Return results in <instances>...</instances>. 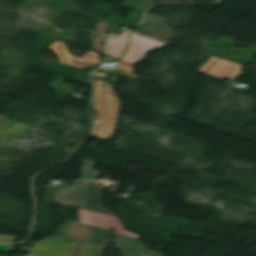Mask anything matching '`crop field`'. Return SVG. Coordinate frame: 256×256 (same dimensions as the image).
Segmentation results:
<instances>
[{
    "mask_svg": "<svg viewBox=\"0 0 256 256\" xmlns=\"http://www.w3.org/2000/svg\"><path fill=\"white\" fill-rule=\"evenodd\" d=\"M14 250H25V251H29L28 249H25V248H14Z\"/></svg>",
    "mask_w": 256,
    "mask_h": 256,
    "instance_id": "14",
    "label": "crop field"
},
{
    "mask_svg": "<svg viewBox=\"0 0 256 256\" xmlns=\"http://www.w3.org/2000/svg\"><path fill=\"white\" fill-rule=\"evenodd\" d=\"M166 45L160 44L131 33L130 44L126 54L121 58L122 61L137 64L144 60L147 50H154L155 48H162Z\"/></svg>",
    "mask_w": 256,
    "mask_h": 256,
    "instance_id": "4",
    "label": "crop field"
},
{
    "mask_svg": "<svg viewBox=\"0 0 256 256\" xmlns=\"http://www.w3.org/2000/svg\"><path fill=\"white\" fill-rule=\"evenodd\" d=\"M219 58L214 57L201 71H207ZM241 65L220 59L207 73L234 80L242 72L239 70Z\"/></svg>",
    "mask_w": 256,
    "mask_h": 256,
    "instance_id": "5",
    "label": "crop field"
},
{
    "mask_svg": "<svg viewBox=\"0 0 256 256\" xmlns=\"http://www.w3.org/2000/svg\"><path fill=\"white\" fill-rule=\"evenodd\" d=\"M83 162H84V165H83V167L81 169L83 179H91L90 170H89V167H88L87 160L83 159ZM85 165H87L86 168H85Z\"/></svg>",
    "mask_w": 256,
    "mask_h": 256,
    "instance_id": "11",
    "label": "crop field"
},
{
    "mask_svg": "<svg viewBox=\"0 0 256 256\" xmlns=\"http://www.w3.org/2000/svg\"><path fill=\"white\" fill-rule=\"evenodd\" d=\"M78 219L80 222H84V223H87L96 227H100L106 230L112 227H115L116 233L123 234L135 239L139 237L135 234H132L124 230L122 223L119 221L117 217H114V216L78 208Z\"/></svg>",
    "mask_w": 256,
    "mask_h": 256,
    "instance_id": "3",
    "label": "crop field"
},
{
    "mask_svg": "<svg viewBox=\"0 0 256 256\" xmlns=\"http://www.w3.org/2000/svg\"><path fill=\"white\" fill-rule=\"evenodd\" d=\"M54 197H55L54 202L61 203V204H67V205L74 206V207H76V204L78 203V201L80 199L79 196H75V195H71V194H67V193H63V192H59V191L54 192ZM59 198H62L64 200H58Z\"/></svg>",
    "mask_w": 256,
    "mask_h": 256,
    "instance_id": "9",
    "label": "crop field"
},
{
    "mask_svg": "<svg viewBox=\"0 0 256 256\" xmlns=\"http://www.w3.org/2000/svg\"><path fill=\"white\" fill-rule=\"evenodd\" d=\"M78 246L79 244L74 242L44 238L34 243L30 256H73Z\"/></svg>",
    "mask_w": 256,
    "mask_h": 256,
    "instance_id": "2",
    "label": "crop field"
},
{
    "mask_svg": "<svg viewBox=\"0 0 256 256\" xmlns=\"http://www.w3.org/2000/svg\"><path fill=\"white\" fill-rule=\"evenodd\" d=\"M128 37H129V31L123 33L121 36L117 38L112 36V38L110 39L106 47L108 55L120 59V57L125 52L127 42H128Z\"/></svg>",
    "mask_w": 256,
    "mask_h": 256,
    "instance_id": "7",
    "label": "crop field"
},
{
    "mask_svg": "<svg viewBox=\"0 0 256 256\" xmlns=\"http://www.w3.org/2000/svg\"><path fill=\"white\" fill-rule=\"evenodd\" d=\"M103 200L101 192L97 189L95 182L89 186L86 194L82 197L77 207L113 215L111 210L102 207Z\"/></svg>",
    "mask_w": 256,
    "mask_h": 256,
    "instance_id": "6",
    "label": "crop field"
},
{
    "mask_svg": "<svg viewBox=\"0 0 256 256\" xmlns=\"http://www.w3.org/2000/svg\"><path fill=\"white\" fill-rule=\"evenodd\" d=\"M106 248L81 244L75 256H103Z\"/></svg>",
    "mask_w": 256,
    "mask_h": 256,
    "instance_id": "8",
    "label": "crop field"
},
{
    "mask_svg": "<svg viewBox=\"0 0 256 256\" xmlns=\"http://www.w3.org/2000/svg\"><path fill=\"white\" fill-rule=\"evenodd\" d=\"M95 163L93 161H90L89 160V165L91 167V171H92V177L94 180H96L99 176H100V173L99 172H94L92 166L94 165Z\"/></svg>",
    "mask_w": 256,
    "mask_h": 256,
    "instance_id": "13",
    "label": "crop field"
},
{
    "mask_svg": "<svg viewBox=\"0 0 256 256\" xmlns=\"http://www.w3.org/2000/svg\"><path fill=\"white\" fill-rule=\"evenodd\" d=\"M89 183H90V181H79L78 184H75V185L70 186V187H64L59 191H63V192H67V193L82 196L84 190L87 188Z\"/></svg>",
    "mask_w": 256,
    "mask_h": 256,
    "instance_id": "10",
    "label": "crop field"
},
{
    "mask_svg": "<svg viewBox=\"0 0 256 256\" xmlns=\"http://www.w3.org/2000/svg\"><path fill=\"white\" fill-rule=\"evenodd\" d=\"M16 237L0 235V243H15Z\"/></svg>",
    "mask_w": 256,
    "mask_h": 256,
    "instance_id": "12",
    "label": "crop field"
},
{
    "mask_svg": "<svg viewBox=\"0 0 256 256\" xmlns=\"http://www.w3.org/2000/svg\"><path fill=\"white\" fill-rule=\"evenodd\" d=\"M53 236L98 245H104L110 236H115L125 256H162V253L146 250L138 240L73 220L64 221Z\"/></svg>",
    "mask_w": 256,
    "mask_h": 256,
    "instance_id": "1",
    "label": "crop field"
}]
</instances>
